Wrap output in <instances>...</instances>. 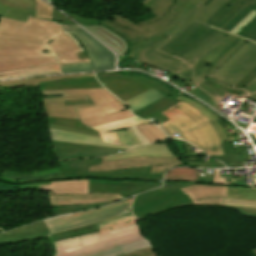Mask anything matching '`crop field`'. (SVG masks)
I'll return each instance as SVG.
<instances>
[{"instance_id":"1","label":"crop field","mask_w":256,"mask_h":256,"mask_svg":"<svg viewBox=\"0 0 256 256\" xmlns=\"http://www.w3.org/2000/svg\"><path fill=\"white\" fill-rule=\"evenodd\" d=\"M192 3L162 31L169 37L137 51L138 61L168 71L179 87H197L246 40L195 21Z\"/></svg>"},{"instance_id":"2","label":"crop field","mask_w":256,"mask_h":256,"mask_svg":"<svg viewBox=\"0 0 256 256\" xmlns=\"http://www.w3.org/2000/svg\"><path fill=\"white\" fill-rule=\"evenodd\" d=\"M59 22L29 17L26 23L0 18V72L48 64L87 62L62 33Z\"/></svg>"},{"instance_id":"3","label":"crop field","mask_w":256,"mask_h":256,"mask_svg":"<svg viewBox=\"0 0 256 256\" xmlns=\"http://www.w3.org/2000/svg\"><path fill=\"white\" fill-rule=\"evenodd\" d=\"M96 224L99 232L51 242L53 256H114L150 246L131 214Z\"/></svg>"},{"instance_id":"4","label":"crop field","mask_w":256,"mask_h":256,"mask_svg":"<svg viewBox=\"0 0 256 256\" xmlns=\"http://www.w3.org/2000/svg\"><path fill=\"white\" fill-rule=\"evenodd\" d=\"M190 3L188 0H150L143 6L157 17L133 23L116 14L101 24L122 36L128 42V50L144 48L167 37L161 30Z\"/></svg>"},{"instance_id":"5","label":"crop field","mask_w":256,"mask_h":256,"mask_svg":"<svg viewBox=\"0 0 256 256\" xmlns=\"http://www.w3.org/2000/svg\"><path fill=\"white\" fill-rule=\"evenodd\" d=\"M194 205L226 206L240 214L256 217V187L192 184L179 187ZM256 256V249L250 251Z\"/></svg>"},{"instance_id":"6","label":"crop field","mask_w":256,"mask_h":256,"mask_svg":"<svg viewBox=\"0 0 256 256\" xmlns=\"http://www.w3.org/2000/svg\"><path fill=\"white\" fill-rule=\"evenodd\" d=\"M255 66L256 44L246 41L215 73L200 84L199 87L219 101L229 92L239 95L243 90L234 86ZM224 83H227V85Z\"/></svg>"},{"instance_id":"7","label":"crop field","mask_w":256,"mask_h":256,"mask_svg":"<svg viewBox=\"0 0 256 256\" xmlns=\"http://www.w3.org/2000/svg\"><path fill=\"white\" fill-rule=\"evenodd\" d=\"M63 94V96H84L92 100L96 107L76 109L80 122L97 126L129 117H133L124 104L104 88L42 91V95Z\"/></svg>"},{"instance_id":"8","label":"crop field","mask_w":256,"mask_h":256,"mask_svg":"<svg viewBox=\"0 0 256 256\" xmlns=\"http://www.w3.org/2000/svg\"><path fill=\"white\" fill-rule=\"evenodd\" d=\"M191 183L166 182L164 186L136 196L133 202V214L139 218L162 211L193 205L188 195L176 186Z\"/></svg>"},{"instance_id":"9","label":"crop field","mask_w":256,"mask_h":256,"mask_svg":"<svg viewBox=\"0 0 256 256\" xmlns=\"http://www.w3.org/2000/svg\"><path fill=\"white\" fill-rule=\"evenodd\" d=\"M59 164L65 179L92 178L162 182L163 175V172L158 174H149V166L127 170L87 173V165H100V157L64 161L59 162Z\"/></svg>"},{"instance_id":"10","label":"crop field","mask_w":256,"mask_h":256,"mask_svg":"<svg viewBox=\"0 0 256 256\" xmlns=\"http://www.w3.org/2000/svg\"><path fill=\"white\" fill-rule=\"evenodd\" d=\"M131 199L132 198L105 208L75 213L73 216L49 221L45 224L47 225L50 233L54 234L130 214Z\"/></svg>"},{"instance_id":"11","label":"crop field","mask_w":256,"mask_h":256,"mask_svg":"<svg viewBox=\"0 0 256 256\" xmlns=\"http://www.w3.org/2000/svg\"><path fill=\"white\" fill-rule=\"evenodd\" d=\"M162 114L183 130L191 144L208 154L206 140L197 127L211 121L202 112L180 101Z\"/></svg>"},{"instance_id":"12","label":"crop field","mask_w":256,"mask_h":256,"mask_svg":"<svg viewBox=\"0 0 256 256\" xmlns=\"http://www.w3.org/2000/svg\"><path fill=\"white\" fill-rule=\"evenodd\" d=\"M96 76L99 81L114 79V78H131L136 81H141V82L153 87L159 93H161L163 96H165V97L147 105L146 107L133 112L135 115L141 117L142 119H144L146 121H150V119H155L159 123H163V122L169 120L164 115H162L160 112L165 109L171 108L177 102H179V100L176 99L178 94H176L175 92H171L168 89L161 86L160 84L152 82L151 80H147L145 78L135 77V76H121V75H115V74H96Z\"/></svg>"},{"instance_id":"13","label":"crop field","mask_w":256,"mask_h":256,"mask_svg":"<svg viewBox=\"0 0 256 256\" xmlns=\"http://www.w3.org/2000/svg\"><path fill=\"white\" fill-rule=\"evenodd\" d=\"M84 47L95 71L114 69L115 55L79 26L62 24Z\"/></svg>"},{"instance_id":"14","label":"crop field","mask_w":256,"mask_h":256,"mask_svg":"<svg viewBox=\"0 0 256 256\" xmlns=\"http://www.w3.org/2000/svg\"><path fill=\"white\" fill-rule=\"evenodd\" d=\"M28 16L52 20V8L41 0H0V17L25 22Z\"/></svg>"},{"instance_id":"15","label":"crop field","mask_w":256,"mask_h":256,"mask_svg":"<svg viewBox=\"0 0 256 256\" xmlns=\"http://www.w3.org/2000/svg\"><path fill=\"white\" fill-rule=\"evenodd\" d=\"M146 165H150V173H158L165 171L171 167L183 166V163L179 160L178 157L149 158V156H145L123 160L101 161L100 166H88V172L106 171L112 169H126Z\"/></svg>"},{"instance_id":"16","label":"crop field","mask_w":256,"mask_h":256,"mask_svg":"<svg viewBox=\"0 0 256 256\" xmlns=\"http://www.w3.org/2000/svg\"><path fill=\"white\" fill-rule=\"evenodd\" d=\"M57 160L119 154L125 149L53 142Z\"/></svg>"},{"instance_id":"17","label":"crop field","mask_w":256,"mask_h":256,"mask_svg":"<svg viewBox=\"0 0 256 256\" xmlns=\"http://www.w3.org/2000/svg\"><path fill=\"white\" fill-rule=\"evenodd\" d=\"M51 206L78 205L122 199L121 194L89 193V195H49Z\"/></svg>"},{"instance_id":"18","label":"crop field","mask_w":256,"mask_h":256,"mask_svg":"<svg viewBox=\"0 0 256 256\" xmlns=\"http://www.w3.org/2000/svg\"><path fill=\"white\" fill-rule=\"evenodd\" d=\"M89 99L85 97H56L42 99L46 116L79 119L75 108L91 105L64 106V100Z\"/></svg>"},{"instance_id":"19","label":"crop field","mask_w":256,"mask_h":256,"mask_svg":"<svg viewBox=\"0 0 256 256\" xmlns=\"http://www.w3.org/2000/svg\"><path fill=\"white\" fill-rule=\"evenodd\" d=\"M49 234L43 222H37L11 231L0 234V243L4 242H20L30 239H40L48 237Z\"/></svg>"},{"instance_id":"20","label":"crop field","mask_w":256,"mask_h":256,"mask_svg":"<svg viewBox=\"0 0 256 256\" xmlns=\"http://www.w3.org/2000/svg\"><path fill=\"white\" fill-rule=\"evenodd\" d=\"M111 93L123 101L147 90L150 87L130 79H114L101 82Z\"/></svg>"},{"instance_id":"21","label":"crop field","mask_w":256,"mask_h":256,"mask_svg":"<svg viewBox=\"0 0 256 256\" xmlns=\"http://www.w3.org/2000/svg\"><path fill=\"white\" fill-rule=\"evenodd\" d=\"M83 27L90 31L121 57H123L127 52L126 41L108 28L102 25H88Z\"/></svg>"},{"instance_id":"22","label":"crop field","mask_w":256,"mask_h":256,"mask_svg":"<svg viewBox=\"0 0 256 256\" xmlns=\"http://www.w3.org/2000/svg\"><path fill=\"white\" fill-rule=\"evenodd\" d=\"M42 186L47 194H88V179L51 181Z\"/></svg>"},{"instance_id":"23","label":"crop field","mask_w":256,"mask_h":256,"mask_svg":"<svg viewBox=\"0 0 256 256\" xmlns=\"http://www.w3.org/2000/svg\"><path fill=\"white\" fill-rule=\"evenodd\" d=\"M150 155V157H167L175 156L170 148L165 144H156V145H145L134 147L120 155L101 157V160H111V159H123Z\"/></svg>"},{"instance_id":"24","label":"crop field","mask_w":256,"mask_h":256,"mask_svg":"<svg viewBox=\"0 0 256 256\" xmlns=\"http://www.w3.org/2000/svg\"><path fill=\"white\" fill-rule=\"evenodd\" d=\"M253 0H229L223 4L205 23L220 29L228 22L245 4Z\"/></svg>"},{"instance_id":"25","label":"crop field","mask_w":256,"mask_h":256,"mask_svg":"<svg viewBox=\"0 0 256 256\" xmlns=\"http://www.w3.org/2000/svg\"><path fill=\"white\" fill-rule=\"evenodd\" d=\"M50 135L53 141L58 142H68V143H78V144H89V145H101L129 149L131 147L126 146H116V145H106L100 138L83 135L79 133L67 132L50 129Z\"/></svg>"},{"instance_id":"26","label":"crop field","mask_w":256,"mask_h":256,"mask_svg":"<svg viewBox=\"0 0 256 256\" xmlns=\"http://www.w3.org/2000/svg\"><path fill=\"white\" fill-rule=\"evenodd\" d=\"M139 124H146V122L136 117H133V118H129V119H125V120H121V121H117V122H113V123H109V124H105V125H101L93 128L99 132L104 142L119 145V141L115 135L114 130L123 129L126 127H132Z\"/></svg>"},{"instance_id":"27","label":"crop field","mask_w":256,"mask_h":256,"mask_svg":"<svg viewBox=\"0 0 256 256\" xmlns=\"http://www.w3.org/2000/svg\"><path fill=\"white\" fill-rule=\"evenodd\" d=\"M178 99L196 107L197 109H199L200 111H202L209 119H211L213 122H211V124L216 128L220 138H221V141H222V147H223V153L224 155H229V154H239V151L240 148L239 147H236V148H232L231 149V144L230 143H233L235 141H238V140H232V141H228L223 129L221 128V126L215 121L217 119H219V117H217L216 115H214L212 112H210L208 109H206L204 106H202L201 104L195 102V101H192L188 98H185L181 95H179Z\"/></svg>"},{"instance_id":"28","label":"crop field","mask_w":256,"mask_h":256,"mask_svg":"<svg viewBox=\"0 0 256 256\" xmlns=\"http://www.w3.org/2000/svg\"><path fill=\"white\" fill-rule=\"evenodd\" d=\"M78 77H86L87 81L86 82H71V83H55V84H49V85L97 82L94 74H82V75L55 76V77H47V78H36V79L5 81V82H0V87L39 86L38 82L49 81V80H56V79H61V78H78ZM43 86H48V85H43Z\"/></svg>"},{"instance_id":"29","label":"crop field","mask_w":256,"mask_h":256,"mask_svg":"<svg viewBox=\"0 0 256 256\" xmlns=\"http://www.w3.org/2000/svg\"><path fill=\"white\" fill-rule=\"evenodd\" d=\"M54 74H60L57 64L25 69V70L1 72L0 79L28 77V76H41V75H54Z\"/></svg>"},{"instance_id":"30","label":"crop field","mask_w":256,"mask_h":256,"mask_svg":"<svg viewBox=\"0 0 256 256\" xmlns=\"http://www.w3.org/2000/svg\"><path fill=\"white\" fill-rule=\"evenodd\" d=\"M198 128L201 130L207 140L209 155H223L221 141L214 127L210 123H207Z\"/></svg>"},{"instance_id":"31","label":"crop field","mask_w":256,"mask_h":256,"mask_svg":"<svg viewBox=\"0 0 256 256\" xmlns=\"http://www.w3.org/2000/svg\"><path fill=\"white\" fill-rule=\"evenodd\" d=\"M198 5L197 20L205 23L206 20L227 0H191Z\"/></svg>"},{"instance_id":"32","label":"crop field","mask_w":256,"mask_h":256,"mask_svg":"<svg viewBox=\"0 0 256 256\" xmlns=\"http://www.w3.org/2000/svg\"><path fill=\"white\" fill-rule=\"evenodd\" d=\"M89 184L119 186L121 191L137 189V188H145V187H154V186L161 185V183H152V182L91 180V179H89Z\"/></svg>"},{"instance_id":"33","label":"crop field","mask_w":256,"mask_h":256,"mask_svg":"<svg viewBox=\"0 0 256 256\" xmlns=\"http://www.w3.org/2000/svg\"><path fill=\"white\" fill-rule=\"evenodd\" d=\"M197 169L193 168H174L168 171L165 175L166 181H185V182H197L198 176H195Z\"/></svg>"},{"instance_id":"34","label":"crop field","mask_w":256,"mask_h":256,"mask_svg":"<svg viewBox=\"0 0 256 256\" xmlns=\"http://www.w3.org/2000/svg\"><path fill=\"white\" fill-rule=\"evenodd\" d=\"M163 97L156 90L150 89L126 102H124L131 110V112L151 103L154 100Z\"/></svg>"},{"instance_id":"35","label":"crop field","mask_w":256,"mask_h":256,"mask_svg":"<svg viewBox=\"0 0 256 256\" xmlns=\"http://www.w3.org/2000/svg\"><path fill=\"white\" fill-rule=\"evenodd\" d=\"M96 231H98L97 227L95 224H93V225H89V226H86L83 228L73 229V230H70L67 232L51 235V237H49V240H50V242L57 241V240L70 238V237H74V236H79V235L92 233V232H96Z\"/></svg>"},{"instance_id":"36","label":"crop field","mask_w":256,"mask_h":256,"mask_svg":"<svg viewBox=\"0 0 256 256\" xmlns=\"http://www.w3.org/2000/svg\"><path fill=\"white\" fill-rule=\"evenodd\" d=\"M253 9L256 10V0L245 5L227 24H225L221 30L229 32L234 26H236L246 15H248Z\"/></svg>"},{"instance_id":"37","label":"crop field","mask_w":256,"mask_h":256,"mask_svg":"<svg viewBox=\"0 0 256 256\" xmlns=\"http://www.w3.org/2000/svg\"><path fill=\"white\" fill-rule=\"evenodd\" d=\"M136 128L148 139L150 143L165 138L166 136L151 124L139 125Z\"/></svg>"},{"instance_id":"38","label":"crop field","mask_w":256,"mask_h":256,"mask_svg":"<svg viewBox=\"0 0 256 256\" xmlns=\"http://www.w3.org/2000/svg\"><path fill=\"white\" fill-rule=\"evenodd\" d=\"M111 203H113V202L86 204V205H79V206L53 209L52 211H53L54 215L67 214V213H73V212H78V211L90 210V209H94V208H97V207L106 206V205L111 204Z\"/></svg>"},{"instance_id":"39","label":"crop field","mask_w":256,"mask_h":256,"mask_svg":"<svg viewBox=\"0 0 256 256\" xmlns=\"http://www.w3.org/2000/svg\"><path fill=\"white\" fill-rule=\"evenodd\" d=\"M149 189H152V188H145V189H137V190L120 192L118 187L89 185V191L122 193L124 198L135 195V194H138V193H141V192H145Z\"/></svg>"},{"instance_id":"40","label":"crop field","mask_w":256,"mask_h":256,"mask_svg":"<svg viewBox=\"0 0 256 256\" xmlns=\"http://www.w3.org/2000/svg\"><path fill=\"white\" fill-rule=\"evenodd\" d=\"M119 140L120 145L136 146L141 145L138 138L133 134L130 128L115 131Z\"/></svg>"},{"instance_id":"41","label":"crop field","mask_w":256,"mask_h":256,"mask_svg":"<svg viewBox=\"0 0 256 256\" xmlns=\"http://www.w3.org/2000/svg\"><path fill=\"white\" fill-rule=\"evenodd\" d=\"M236 35L256 42V16L250 20Z\"/></svg>"},{"instance_id":"42","label":"crop field","mask_w":256,"mask_h":256,"mask_svg":"<svg viewBox=\"0 0 256 256\" xmlns=\"http://www.w3.org/2000/svg\"><path fill=\"white\" fill-rule=\"evenodd\" d=\"M48 123H53V124H59V125H65V126H70L78 129H83L87 131H92L91 129L81 125L78 120H72V119H62V118H52V117H46ZM96 133V132H95Z\"/></svg>"},{"instance_id":"43","label":"crop field","mask_w":256,"mask_h":256,"mask_svg":"<svg viewBox=\"0 0 256 256\" xmlns=\"http://www.w3.org/2000/svg\"><path fill=\"white\" fill-rule=\"evenodd\" d=\"M54 180L53 177L41 179V180H28V181H18L19 190L25 189H35L38 186L50 184L49 181Z\"/></svg>"},{"instance_id":"44","label":"crop field","mask_w":256,"mask_h":256,"mask_svg":"<svg viewBox=\"0 0 256 256\" xmlns=\"http://www.w3.org/2000/svg\"><path fill=\"white\" fill-rule=\"evenodd\" d=\"M62 73L93 71L91 63L59 65Z\"/></svg>"},{"instance_id":"45","label":"crop field","mask_w":256,"mask_h":256,"mask_svg":"<svg viewBox=\"0 0 256 256\" xmlns=\"http://www.w3.org/2000/svg\"><path fill=\"white\" fill-rule=\"evenodd\" d=\"M189 93H191V94L195 95L196 97L202 99L203 101L208 103L213 108L221 111V109L219 108L218 102L216 100H214L211 96H209L207 93L202 91L200 88L197 87L195 90H193Z\"/></svg>"},{"instance_id":"46","label":"crop field","mask_w":256,"mask_h":256,"mask_svg":"<svg viewBox=\"0 0 256 256\" xmlns=\"http://www.w3.org/2000/svg\"><path fill=\"white\" fill-rule=\"evenodd\" d=\"M96 87H102V86L99 83H91V84L48 86V87H40V88L41 90H53V89L96 88Z\"/></svg>"},{"instance_id":"47","label":"crop field","mask_w":256,"mask_h":256,"mask_svg":"<svg viewBox=\"0 0 256 256\" xmlns=\"http://www.w3.org/2000/svg\"><path fill=\"white\" fill-rule=\"evenodd\" d=\"M243 90L245 91L242 94H240V96L256 100V78L249 84H247V86L243 88Z\"/></svg>"},{"instance_id":"48","label":"crop field","mask_w":256,"mask_h":256,"mask_svg":"<svg viewBox=\"0 0 256 256\" xmlns=\"http://www.w3.org/2000/svg\"><path fill=\"white\" fill-rule=\"evenodd\" d=\"M118 256H159L158 253L152 248H146Z\"/></svg>"},{"instance_id":"49","label":"crop field","mask_w":256,"mask_h":256,"mask_svg":"<svg viewBox=\"0 0 256 256\" xmlns=\"http://www.w3.org/2000/svg\"><path fill=\"white\" fill-rule=\"evenodd\" d=\"M163 125L173 134L177 133L180 136V139L187 141L186 137L182 133L181 129L178 128L174 123L170 120L163 123ZM174 136V135H173ZM188 142V141H187Z\"/></svg>"},{"instance_id":"50","label":"crop field","mask_w":256,"mask_h":256,"mask_svg":"<svg viewBox=\"0 0 256 256\" xmlns=\"http://www.w3.org/2000/svg\"><path fill=\"white\" fill-rule=\"evenodd\" d=\"M256 77V67L250 72L248 73L237 85L236 87L242 89L243 87H245V85L250 82L251 80H253Z\"/></svg>"},{"instance_id":"51","label":"crop field","mask_w":256,"mask_h":256,"mask_svg":"<svg viewBox=\"0 0 256 256\" xmlns=\"http://www.w3.org/2000/svg\"><path fill=\"white\" fill-rule=\"evenodd\" d=\"M53 20L60 21L61 23H65V24L76 25L71 20H69L65 15H63L62 13H60L59 11H57L54 8H53Z\"/></svg>"},{"instance_id":"52","label":"crop field","mask_w":256,"mask_h":256,"mask_svg":"<svg viewBox=\"0 0 256 256\" xmlns=\"http://www.w3.org/2000/svg\"><path fill=\"white\" fill-rule=\"evenodd\" d=\"M256 15V11H252L248 16H246L236 27H234L230 33L236 34L250 19Z\"/></svg>"},{"instance_id":"53","label":"crop field","mask_w":256,"mask_h":256,"mask_svg":"<svg viewBox=\"0 0 256 256\" xmlns=\"http://www.w3.org/2000/svg\"><path fill=\"white\" fill-rule=\"evenodd\" d=\"M48 127L49 128H54V129H60V130L79 132V133H83V134H88V135H93V136L99 137L98 134L87 132V131H82V130H78V129H74V128H70V127H64V126H58V125H52V124H48Z\"/></svg>"},{"instance_id":"54","label":"crop field","mask_w":256,"mask_h":256,"mask_svg":"<svg viewBox=\"0 0 256 256\" xmlns=\"http://www.w3.org/2000/svg\"><path fill=\"white\" fill-rule=\"evenodd\" d=\"M70 17H72L74 20H76L77 22H79L81 25H87V24H100L101 21L98 20H92V19H86V18H82V17H78L72 14H68Z\"/></svg>"},{"instance_id":"55","label":"crop field","mask_w":256,"mask_h":256,"mask_svg":"<svg viewBox=\"0 0 256 256\" xmlns=\"http://www.w3.org/2000/svg\"><path fill=\"white\" fill-rule=\"evenodd\" d=\"M131 129H132V131L134 132V134L139 138V140L141 141V143H142L143 145L149 144V142L147 141V139H146L135 127H132Z\"/></svg>"},{"instance_id":"56","label":"crop field","mask_w":256,"mask_h":256,"mask_svg":"<svg viewBox=\"0 0 256 256\" xmlns=\"http://www.w3.org/2000/svg\"><path fill=\"white\" fill-rule=\"evenodd\" d=\"M85 78H78V79H61V80H56V81H49V82H43L39 83L40 85L43 84H49V83H55V82H70V81H85Z\"/></svg>"},{"instance_id":"57","label":"crop field","mask_w":256,"mask_h":256,"mask_svg":"<svg viewBox=\"0 0 256 256\" xmlns=\"http://www.w3.org/2000/svg\"><path fill=\"white\" fill-rule=\"evenodd\" d=\"M90 100L65 101V105L90 104Z\"/></svg>"},{"instance_id":"58","label":"crop field","mask_w":256,"mask_h":256,"mask_svg":"<svg viewBox=\"0 0 256 256\" xmlns=\"http://www.w3.org/2000/svg\"><path fill=\"white\" fill-rule=\"evenodd\" d=\"M63 33H65L66 35H68V36L76 43V45L80 48L81 52H84L83 47L80 45V43H79L71 34H68V33H66V32H63Z\"/></svg>"},{"instance_id":"59","label":"crop field","mask_w":256,"mask_h":256,"mask_svg":"<svg viewBox=\"0 0 256 256\" xmlns=\"http://www.w3.org/2000/svg\"><path fill=\"white\" fill-rule=\"evenodd\" d=\"M173 141L175 142V144L177 145V147L179 148L180 152L181 153H184V150H183V146H182V143L180 140L178 139H173ZM185 154V153H184Z\"/></svg>"},{"instance_id":"60","label":"crop field","mask_w":256,"mask_h":256,"mask_svg":"<svg viewBox=\"0 0 256 256\" xmlns=\"http://www.w3.org/2000/svg\"><path fill=\"white\" fill-rule=\"evenodd\" d=\"M182 143H183V146H184L185 153L186 154H191V150H190L189 144H187V143H185L183 141H182Z\"/></svg>"},{"instance_id":"61","label":"crop field","mask_w":256,"mask_h":256,"mask_svg":"<svg viewBox=\"0 0 256 256\" xmlns=\"http://www.w3.org/2000/svg\"><path fill=\"white\" fill-rule=\"evenodd\" d=\"M158 127H160V128L163 130V132H165L168 136L173 137V136L171 135V133H170L165 127L162 126V124L159 125Z\"/></svg>"},{"instance_id":"62","label":"crop field","mask_w":256,"mask_h":256,"mask_svg":"<svg viewBox=\"0 0 256 256\" xmlns=\"http://www.w3.org/2000/svg\"><path fill=\"white\" fill-rule=\"evenodd\" d=\"M238 125H240L242 128L246 129L249 125V123L245 124V123H242V122H236Z\"/></svg>"},{"instance_id":"63","label":"crop field","mask_w":256,"mask_h":256,"mask_svg":"<svg viewBox=\"0 0 256 256\" xmlns=\"http://www.w3.org/2000/svg\"><path fill=\"white\" fill-rule=\"evenodd\" d=\"M233 185H237V186H247V185H245L244 182H238V183L233 184ZM248 187H251V186H248Z\"/></svg>"},{"instance_id":"64","label":"crop field","mask_w":256,"mask_h":256,"mask_svg":"<svg viewBox=\"0 0 256 256\" xmlns=\"http://www.w3.org/2000/svg\"><path fill=\"white\" fill-rule=\"evenodd\" d=\"M70 215H72V214H70ZM70 215H66V216H70ZM66 216L56 217V218L48 219V220H45V221H49V220H53V219H57V218H62V217H66Z\"/></svg>"},{"instance_id":"65","label":"crop field","mask_w":256,"mask_h":256,"mask_svg":"<svg viewBox=\"0 0 256 256\" xmlns=\"http://www.w3.org/2000/svg\"><path fill=\"white\" fill-rule=\"evenodd\" d=\"M147 1H149V0H143V1L140 2V3L143 5V4L146 3Z\"/></svg>"},{"instance_id":"66","label":"crop field","mask_w":256,"mask_h":256,"mask_svg":"<svg viewBox=\"0 0 256 256\" xmlns=\"http://www.w3.org/2000/svg\"><path fill=\"white\" fill-rule=\"evenodd\" d=\"M47 1L50 2L51 4H52V2H53L52 0H47Z\"/></svg>"}]
</instances>
